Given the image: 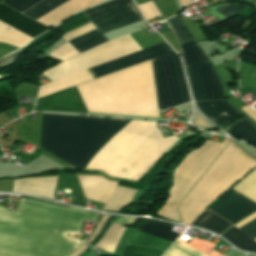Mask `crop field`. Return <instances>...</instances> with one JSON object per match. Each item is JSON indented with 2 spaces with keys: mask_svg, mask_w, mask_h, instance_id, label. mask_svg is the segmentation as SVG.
Segmentation results:
<instances>
[{
  "mask_svg": "<svg viewBox=\"0 0 256 256\" xmlns=\"http://www.w3.org/2000/svg\"><path fill=\"white\" fill-rule=\"evenodd\" d=\"M98 214L22 198L17 212L0 207V256H68L80 243L63 237L80 232Z\"/></svg>",
  "mask_w": 256,
  "mask_h": 256,
  "instance_id": "8a807250",
  "label": "crop field"
},
{
  "mask_svg": "<svg viewBox=\"0 0 256 256\" xmlns=\"http://www.w3.org/2000/svg\"><path fill=\"white\" fill-rule=\"evenodd\" d=\"M76 87L88 112L160 117L151 60Z\"/></svg>",
  "mask_w": 256,
  "mask_h": 256,
  "instance_id": "ac0d7876",
  "label": "crop field"
},
{
  "mask_svg": "<svg viewBox=\"0 0 256 256\" xmlns=\"http://www.w3.org/2000/svg\"><path fill=\"white\" fill-rule=\"evenodd\" d=\"M177 139H162L155 122L131 121L105 144L86 169L137 180Z\"/></svg>",
  "mask_w": 256,
  "mask_h": 256,
  "instance_id": "34b2d1b8",
  "label": "crop field"
},
{
  "mask_svg": "<svg viewBox=\"0 0 256 256\" xmlns=\"http://www.w3.org/2000/svg\"><path fill=\"white\" fill-rule=\"evenodd\" d=\"M128 122L43 114L40 149L83 170L93 154Z\"/></svg>",
  "mask_w": 256,
  "mask_h": 256,
  "instance_id": "412701ff",
  "label": "crop field"
},
{
  "mask_svg": "<svg viewBox=\"0 0 256 256\" xmlns=\"http://www.w3.org/2000/svg\"><path fill=\"white\" fill-rule=\"evenodd\" d=\"M256 166V160L230 141L209 170L179 204L182 223L190 225L216 198Z\"/></svg>",
  "mask_w": 256,
  "mask_h": 256,
  "instance_id": "f4fd0767",
  "label": "crop field"
},
{
  "mask_svg": "<svg viewBox=\"0 0 256 256\" xmlns=\"http://www.w3.org/2000/svg\"><path fill=\"white\" fill-rule=\"evenodd\" d=\"M225 137L222 143L207 140L202 147L190 152L174 171L173 187L165 206L157 214L164 218L180 222L176 211L179 202L195 185L214 159L228 143Z\"/></svg>",
  "mask_w": 256,
  "mask_h": 256,
  "instance_id": "dd49c442",
  "label": "crop field"
},
{
  "mask_svg": "<svg viewBox=\"0 0 256 256\" xmlns=\"http://www.w3.org/2000/svg\"><path fill=\"white\" fill-rule=\"evenodd\" d=\"M159 111L189 101L180 62L175 52L152 60Z\"/></svg>",
  "mask_w": 256,
  "mask_h": 256,
  "instance_id": "e52e79f7",
  "label": "crop field"
},
{
  "mask_svg": "<svg viewBox=\"0 0 256 256\" xmlns=\"http://www.w3.org/2000/svg\"><path fill=\"white\" fill-rule=\"evenodd\" d=\"M131 0H114L84 12L87 18L102 32H107L137 21L139 17L127 3Z\"/></svg>",
  "mask_w": 256,
  "mask_h": 256,
  "instance_id": "d8731c3e",
  "label": "crop field"
},
{
  "mask_svg": "<svg viewBox=\"0 0 256 256\" xmlns=\"http://www.w3.org/2000/svg\"><path fill=\"white\" fill-rule=\"evenodd\" d=\"M49 1L51 0H43L40 3L36 4L35 6H33L32 8H30L29 10L25 11L23 14L29 15L31 12L35 11L36 9L43 6ZM66 1L68 0H53L50 3L46 4L45 6H43L42 8L35 11L34 13L30 14L29 17L36 20L42 17L43 15L47 14L48 12L52 11L56 7L60 6L61 4L65 3ZM102 1L104 0H70L36 21L51 28L57 23L66 19L67 17L89 6L98 4Z\"/></svg>",
  "mask_w": 256,
  "mask_h": 256,
  "instance_id": "5a996713",
  "label": "crop field"
},
{
  "mask_svg": "<svg viewBox=\"0 0 256 256\" xmlns=\"http://www.w3.org/2000/svg\"><path fill=\"white\" fill-rule=\"evenodd\" d=\"M195 101L222 99L221 84L209 61L188 66Z\"/></svg>",
  "mask_w": 256,
  "mask_h": 256,
  "instance_id": "3316defc",
  "label": "crop field"
},
{
  "mask_svg": "<svg viewBox=\"0 0 256 256\" xmlns=\"http://www.w3.org/2000/svg\"><path fill=\"white\" fill-rule=\"evenodd\" d=\"M209 210L236 224L244 217L256 211V203L235 187L220 198Z\"/></svg>",
  "mask_w": 256,
  "mask_h": 256,
  "instance_id": "28ad6ade",
  "label": "crop field"
},
{
  "mask_svg": "<svg viewBox=\"0 0 256 256\" xmlns=\"http://www.w3.org/2000/svg\"><path fill=\"white\" fill-rule=\"evenodd\" d=\"M170 52H173V50L166 44V42H164L156 46L144 49L142 51L88 69V71L93 76V78H97L130 67L132 65L162 56Z\"/></svg>",
  "mask_w": 256,
  "mask_h": 256,
  "instance_id": "d1516ede",
  "label": "crop field"
},
{
  "mask_svg": "<svg viewBox=\"0 0 256 256\" xmlns=\"http://www.w3.org/2000/svg\"><path fill=\"white\" fill-rule=\"evenodd\" d=\"M34 111H65L88 114L76 87L39 98Z\"/></svg>",
  "mask_w": 256,
  "mask_h": 256,
  "instance_id": "22f410ed",
  "label": "crop field"
},
{
  "mask_svg": "<svg viewBox=\"0 0 256 256\" xmlns=\"http://www.w3.org/2000/svg\"><path fill=\"white\" fill-rule=\"evenodd\" d=\"M58 176L14 180L13 192L39 195L54 199Z\"/></svg>",
  "mask_w": 256,
  "mask_h": 256,
  "instance_id": "cbeb9de0",
  "label": "crop field"
},
{
  "mask_svg": "<svg viewBox=\"0 0 256 256\" xmlns=\"http://www.w3.org/2000/svg\"><path fill=\"white\" fill-rule=\"evenodd\" d=\"M0 21L9 26L31 36L36 37L42 32L46 31L47 27L19 14L9 7L0 3Z\"/></svg>",
  "mask_w": 256,
  "mask_h": 256,
  "instance_id": "5142ce71",
  "label": "crop field"
},
{
  "mask_svg": "<svg viewBox=\"0 0 256 256\" xmlns=\"http://www.w3.org/2000/svg\"><path fill=\"white\" fill-rule=\"evenodd\" d=\"M87 199L105 203L117 185L102 177L77 176Z\"/></svg>",
  "mask_w": 256,
  "mask_h": 256,
  "instance_id": "d9b57169",
  "label": "crop field"
},
{
  "mask_svg": "<svg viewBox=\"0 0 256 256\" xmlns=\"http://www.w3.org/2000/svg\"><path fill=\"white\" fill-rule=\"evenodd\" d=\"M196 104L206 116L220 127L240 116L224 100L196 102Z\"/></svg>",
  "mask_w": 256,
  "mask_h": 256,
  "instance_id": "733c2abd",
  "label": "crop field"
},
{
  "mask_svg": "<svg viewBox=\"0 0 256 256\" xmlns=\"http://www.w3.org/2000/svg\"><path fill=\"white\" fill-rule=\"evenodd\" d=\"M92 79V76L88 73L87 70H85L70 75L68 77L47 83L41 86L38 98Z\"/></svg>",
  "mask_w": 256,
  "mask_h": 256,
  "instance_id": "4a817a6b",
  "label": "crop field"
},
{
  "mask_svg": "<svg viewBox=\"0 0 256 256\" xmlns=\"http://www.w3.org/2000/svg\"><path fill=\"white\" fill-rule=\"evenodd\" d=\"M191 225L215 232L218 235L233 226L208 210L198 216Z\"/></svg>",
  "mask_w": 256,
  "mask_h": 256,
  "instance_id": "bc2a9ffb",
  "label": "crop field"
},
{
  "mask_svg": "<svg viewBox=\"0 0 256 256\" xmlns=\"http://www.w3.org/2000/svg\"><path fill=\"white\" fill-rule=\"evenodd\" d=\"M128 244L165 252L171 242L134 230Z\"/></svg>",
  "mask_w": 256,
  "mask_h": 256,
  "instance_id": "214f88e0",
  "label": "crop field"
},
{
  "mask_svg": "<svg viewBox=\"0 0 256 256\" xmlns=\"http://www.w3.org/2000/svg\"><path fill=\"white\" fill-rule=\"evenodd\" d=\"M221 236L240 250L256 253V242L234 227L226 230Z\"/></svg>",
  "mask_w": 256,
  "mask_h": 256,
  "instance_id": "92a150f3",
  "label": "crop field"
},
{
  "mask_svg": "<svg viewBox=\"0 0 256 256\" xmlns=\"http://www.w3.org/2000/svg\"><path fill=\"white\" fill-rule=\"evenodd\" d=\"M107 40L102 36V34L97 30H93L89 33H86L82 36H79L69 43L79 52H83L92 47H95L99 44L106 42Z\"/></svg>",
  "mask_w": 256,
  "mask_h": 256,
  "instance_id": "dafd665d",
  "label": "crop field"
},
{
  "mask_svg": "<svg viewBox=\"0 0 256 256\" xmlns=\"http://www.w3.org/2000/svg\"><path fill=\"white\" fill-rule=\"evenodd\" d=\"M10 28V30H7ZM33 38L5 25L4 23L0 22V42L6 43L18 48L26 45L30 42Z\"/></svg>",
  "mask_w": 256,
  "mask_h": 256,
  "instance_id": "00972430",
  "label": "crop field"
},
{
  "mask_svg": "<svg viewBox=\"0 0 256 256\" xmlns=\"http://www.w3.org/2000/svg\"><path fill=\"white\" fill-rule=\"evenodd\" d=\"M172 227L171 225L144 221L138 230L173 242L179 234L171 231Z\"/></svg>",
  "mask_w": 256,
  "mask_h": 256,
  "instance_id": "a9b5d70f",
  "label": "crop field"
},
{
  "mask_svg": "<svg viewBox=\"0 0 256 256\" xmlns=\"http://www.w3.org/2000/svg\"><path fill=\"white\" fill-rule=\"evenodd\" d=\"M135 191L116 186L110 198L103 207V210L116 211L121 206L129 203Z\"/></svg>",
  "mask_w": 256,
  "mask_h": 256,
  "instance_id": "4177f3b9",
  "label": "crop field"
},
{
  "mask_svg": "<svg viewBox=\"0 0 256 256\" xmlns=\"http://www.w3.org/2000/svg\"><path fill=\"white\" fill-rule=\"evenodd\" d=\"M124 229L125 226L112 223L106 231L104 237L95 245V247L105 251L113 252Z\"/></svg>",
  "mask_w": 256,
  "mask_h": 256,
  "instance_id": "730fd06b",
  "label": "crop field"
},
{
  "mask_svg": "<svg viewBox=\"0 0 256 256\" xmlns=\"http://www.w3.org/2000/svg\"><path fill=\"white\" fill-rule=\"evenodd\" d=\"M256 65L246 62H239L238 74L240 76V88H250L256 90V76L254 72Z\"/></svg>",
  "mask_w": 256,
  "mask_h": 256,
  "instance_id": "eef30255",
  "label": "crop field"
},
{
  "mask_svg": "<svg viewBox=\"0 0 256 256\" xmlns=\"http://www.w3.org/2000/svg\"><path fill=\"white\" fill-rule=\"evenodd\" d=\"M226 131L256 145V130L244 119L226 129Z\"/></svg>",
  "mask_w": 256,
  "mask_h": 256,
  "instance_id": "ae1a2a85",
  "label": "crop field"
},
{
  "mask_svg": "<svg viewBox=\"0 0 256 256\" xmlns=\"http://www.w3.org/2000/svg\"><path fill=\"white\" fill-rule=\"evenodd\" d=\"M181 49L187 66L208 60L193 40L181 44Z\"/></svg>",
  "mask_w": 256,
  "mask_h": 256,
  "instance_id": "d3111659",
  "label": "crop field"
},
{
  "mask_svg": "<svg viewBox=\"0 0 256 256\" xmlns=\"http://www.w3.org/2000/svg\"><path fill=\"white\" fill-rule=\"evenodd\" d=\"M163 256H204V255L177 240V242Z\"/></svg>",
  "mask_w": 256,
  "mask_h": 256,
  "instance_id": "750c4746",
  "label": "crop field"
},
{
  "mask_svg": "<svg viewBox=\"0 0 256 256\" xmlns=\"http://www.w3.org/2000/svg\"><path fill=\"white\" fill-rule=\"evenodd\" d=\"M162 252L127 245L122 256H161Z\"/></svg>",
  "mask_w": 256,
  "mask_h": 256,
  "instance_id": "bd1437ed",
  "label": "crop field"
},
{
  "mask_svg": "<svg viewBox=\"0 0 256 256\" xmlns=\"http://www.w3.org/2000/svg\"><path fill=\"white\" fill-rule=\"evenodd\" d=\"M59 48V47H58ZM78 54V52L67 42L59 49L53 51L52 53L48 54L50 57L65 60L69 57Z\"/></svg>",
  "mask_w": 256,
  "mask_h": 256,
  "instance_id": "1d83c4d3",
  "label": "crop field"
},
{
  "mask_svg": "<svg viewBox=\"0 0 256 256\" xmlns=\"http://www.w3.org/2000/svg\"><path fill=\"white\" fill-rule=\"evenodd\" d=\"M39 1L40 0H3L2 3L21 13Z\"/></svg>",
  "mask_w": 256,
  "mask_h": 256,
  "instance_id": "120bbe31",
  "label": "crop field"
},
{
  "mask_svg": "<svg viewBox=\"0 0 256 256\" xmlns=\"http://www.w3.org/2000/svg\"><path fill=\"white\" fill-rule=\"evenodd\" d=\"M168 20L170 21L171 25L176 30L181 43L192 40L190 35L188 34V32L184 29V26L182 25L178 15H176Z\"/></svg>",
  "mask_w": 256,
  "mask_h": 256,
  "instance_id": "d32e631a",
  "label": "crop field"
},
{
  "mask_svg": "<svg viewBox=\"0 0 256 256\" xmlns=\"http://www.w3.org/2000/svg\"><path fill=\"white\" fill-rule=\"evenodd\" d=\"M93 29H95V27L91 23H89V24H87L85 26H82V27L77 28V29H75L73 31H70V32H68L66 34H63L62 37L65 38L68 41V40L73 39V38H75V37H77L79 35H82V34H84L86 32H89V31H91Z\"/></svg>",
  "mask_w": 256,
  "mask_h": 256,
  "instance_id": "5866460e",
  "label": "crop field"
},
{
  "mask_svg": "<svg viewBox=\"0 0 256 256\" xmlns=\"http://www.w3.org/2000/svg\"><path fill=\"white\" fill-rule=\"evenodd\" d=\"M245 7L246 5L237 4L218 8L217 10L220 11L226 18H228L234 15L235 13L239 12L240 10L244 9Z\"/></svg>",
  "mask_w": 256,
  "mask_h": 256,
  "instance_id": "028f5c9d",
  "label": "crop field"
},
{
  "mask_svg": "<svg viewBox=\"0 0 256 256\" xmlns=\"http://www.w3.org/2000/svg\"><path fill=\"white\" fill-rule=\"evenodd\" d=\"M253 239H256V218L238 228ZM256 241V240H255Z\"/></svg>",
  "mask_w": 256,
  "mask_h": 256,
  "instance_id": "e1f06a70",
  "label": "crop field"
},
{
  "mask_svg": "<svg viewBox=\"0 0 256 256\" xmlns=\"http://www.w3.org/2000/svg\"><path fill=\"white\" fill-rule=\"evenodd\" d=\"M109 216L104 215V217L101 219V221L99 222L97 228L95 229V231L93 232L92 236L86 241L88 243L91 244V242L99 235L101 229L103 228V226L105 225L106 221L109 219Z\"/></svg>",
  "mask_w": 256,
  "mask_h": 256,
  "instance_id": "0bd39190",
  "label": "crop field"
},
{
  "mask_svg": "<svg viewBox=\"0 0 256 256\" xmlns=\"http://www.w3.org/2000/svg\"><path fill=\"white\" fill-rule=\"evenodd\" d=\"M22 53L23 52H21V51H15V52L11 53L10 55L0 59V67L9 63L10 61L14 60L15 58H17Z\"/></svg>",
  "mask_w": 256,
  "mask_h": 256,
  "instance_id": "b80d0937",
  "label": "crop field"
},
{
  "mask_svg": "<svg viewBox=\"0 0 256 256\" xmlns=\"http://www.w3.org/2000/svg\"><path fill=\"white\" fill-rule=\"evenodd\" d=\"M14 50H17V49L0 44V58H2L6 54H8Z\"/></svg>",
  "mask_w": 256,
  "mask_h": 256,
  "instance_id": "c035e120",
  "label": "crop field"
},
{
  "mask_svg": "<svg viewBox=\"0 0 256 256\" xmlns=\"http://www.w3.org/2000/svg\"><path fill=\"white\" fill-rule=\"evenodd\" d=\"M194 124L200 127H211L206 122H204L202 119H200L197 115L195 116Z\"/></svg>",
  "mask_w": 256,
  "mask_h": 256,
  "instance_id": "c21b1889",
  "label": "crop field"
},
{
  "mask_svg": "<svg viewBox=\"0 0 256 256\" xmlns=\"http://www.w3.org/2000/svg\"><path fill=\"white\" fill-rule=\"evenodd\" d=\"M88 246H84L83 244L71 255V256H78L81 254Z\"/></svg>",
  "mask_w": 256,
  "mask_h": 256,
  "instance_id": "03da06ac",
  "label": "crop field"
},
{
  "mask_svg": "<svg viewBox=\"0 0 256 256\" xmlns=\"http://www.w3.org/2000/svg\"><path fill=\"white\" fill-rule=\"evenodd\" d=\"M181 7H185L187 4H189L192 0H179Z\"/></svg>",
  "mask_w": 256,
  "mask_h": 256,
  "instance_id": "b54c1fbb",
  "label": "crop field"
},
{
  "mask_svg": "<svg viewBox=\"0 0 256 256\" xmlns=\"http://www.w3.org/2000/svg\"><path fill=\"white\" fill-rule=\"evenodd\" d=\"M250 1V0H249Z\"/></svg>",
  "mask_w": 256,
  "mask_h": 256,
  "instance_id": "5d738f31",
  "label": "crop field"
}]
</instances>
